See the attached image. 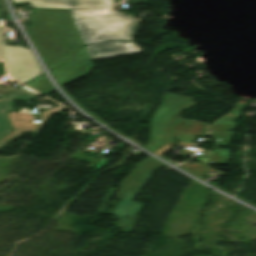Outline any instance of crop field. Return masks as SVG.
Segmentation results:
<instances>
[{
	"mask_svg": "<svg viewBox=\"0 0 256 256\" xmlns=\"http://www.w3.org/2000/svg\"><path fill=\"white\" fill-rule=\"evenodd\" d=\"M43 94H48L52 91H54V89L48 84V82L46 81L44 75L25 84Z\"/></svg>",
	"mask_w": 256,
	"mask_h": 256,
	"instance_id": "obj_8",
	"label": "crop field"
},
{
	"mask_svg": "<svg viewBox=\"0 0 256 256\" xmlns=\"http://www.w3.org/2000/svg\"><path fill=\"white\" fill-rule=\"evenodd\" d=\"M54 112H55L54 110H45V111H43L42 112L43 121L46 122Z\"/></svg>",
	"mask_w": 256,
	"mask_h": 256,
	"instance_id": "obj_9",
	"label": "crop field"
},
{
	"mask_svg": "<svg viewBox=\"0 0 256 256\" xmlns=\"http://www.w3.org/2000/svg\"><path fill=\"white\" fill-rule=\"evenodd\" d=\"M36 96H38V93L22 86L0 98V140L11 131H13L8 114L6 112L14 109L13 100L29 101Z\"/></svg>",
	"mask_w": 256,
	"mask_h": 256,
	"instance_id": "obj_5",
	"label": "crop field"
},
{
	"mask_svg": "<svg viewBox=\"0 0 256 256\" xmlns=\"http://www.w3.org/2000/svg\"><path fill=\"white\" fill-rule=\"evenodd\" d=\"M86 48L92 60L141 51L136 43L109 42L88 46Z\"/></svg>",
	"mask_w": 256,
	"mask_h": 256,
	"instance_id": "obj_7",
	"label": "crop field"
},
{
	"mask_svg": "<svg viewBox=\"0 0 256 256\" xmlns=\"http://www.w3.org/2000/svg\"><path fill=\"white\" fill-rule=\"evenodd\" d=\"M28 32L49 69L84 45L68 10L34 9Z\"/></svg>",
	"mask_w": 256,
	"mask_h": 256,
	"instance_id": "obj_2",
	"label": "crop field"
},
{
	"mask_svg": "<svg viewBox=\"0 0 256 256\" xmlns=\"http://www.w3.org/2000/svg\"><path fill=\"white\" fill-rule=\"evenodd\" d=\"M94 68L92 60L83 47L64 65L52 70L58 83L62 86L88 74Z\"/></svg>",
	"mask_w": 256,
	"mask_h": 256,
	"instance_id": "obj_4",
	"label": "crop field"
},
{
	"mask_svg": "<svg viewBox=\"0 0 256 256\" xmlns=\"http://www.w3.org/2000/svg\"><path fill=\"white\" fill-rule=\"evenodd\" d=\"M14 131L0 141V148L24 132L36 133L42 124L33 123L35 115L22 108L19 113H8Z\"/></svg>",
	"mask_w": 256,
	"mask_h": 256,
	"instance_id": "obj_6",
	"label": "crop field"
},
{
	"mask_svg": "<svg viewBox=\"0 0 256 256\" xmlns=\"http://www.w3.org/2000/svg\"><path fill=\"white\" fill-rule=\"evenodd\" d=\"M31 8L69 9L84 44L131 40L135 18L115 11L113 0H13Z\"/></svg>",
	"mask_w": 256,
	"mask_h": 256,
	"instance_id": "obj_1",
	"label": "crop field"
},
{
	"mask_svg": "<svg viewBox=\"0 0 256 256\" xmlns=\"http://www.w3.org/2000/svg\"><path fill=\"white\" fill-rule=\"evenodd\" d=\"M0 58L7 60L9 73L21 83L42 74L30 49L5 46V33L2 27H0Z\"/></svg>",
	"mask_w": 256,
	"mask_h": 256,
	"instance_id": "obj_3",
	"label": "crop field"
},
{
	"mask_svg": "<svg viewBox=\"0 0 256 256\" xmlns=\"http://www.w3.org/2000/svg\"><path fill=\"white\" fill-rule=\"evenodd\" d=\"M0 18H2V8H0Z\"/></svg>",
	"mask_w": 256,
	"mask_h": 256,
	"instance_id": "obj_10",
	"label": "crop field"
},
{
	"mask_svg": "<svg viewBox=\"0 0 256 256\" xmlns=\"http://www.w3.org/2000/svg\"><path fill=\"white\" fill-rule=\"evenodd\" d=\"M0 7H2L1 4H0Z\"/></svg>",
	"mask_w": 256,
	"mask_h": 256,
	"instance_id": "obj_12",
	"label": "crop field"
},
{
	"mask_svg": "<svg viewBox=\"0 0 256 256\" xmlns=\"http://www.w3.org/2000/svg\"><path fill=\"white\" fill-rule=\"evenodd\" d=\"M127 177H128V176H127ZM123 181H124V180H123ZM122 183H123V182H122ZM122 183H121V184H122ZM121 184H120V185H121ZM118 192H119V191H118ZM118 192L116 193V197H117V195H118ZM117 199H118V198H117Z\"/></svg>",
	"mask_w": 256,
	"mask_h": 256,
	"instance_id": "obj_11",
	"label": "crop field"
}]
</instances>
